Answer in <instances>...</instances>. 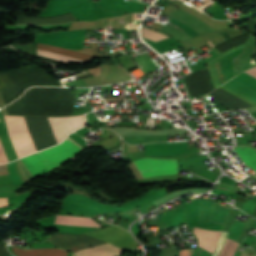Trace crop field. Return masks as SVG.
I'll list each match as a JSON object with an SVG mask.
<instances>
[{
	"label": "crop field",
	"mask_w": 256,
	"mask_h": 256,
	"mask_svg": "<svg viewBox=\"0 0 256 256\" xmlns=\"http://www.w3.org/2000/svg\"><path fill=\"white\" fill-rule=\"evenodd\" d=\"M8 162L0 142V163Z\"/></svg>",
	"instance_id": "obj_17"
},
{
	"label": "crop field",
	"mask_w": 256,
	"mask_h": 256,
	"mask_svg": "<svg viewBox=\"0 0 256 256\" xmlns=\"http://www.w3.org/2000/svg\"><path fill=\"white\" fill-rule=\"evenodd\" d=\"M77 20L76 17L70 12L67 14L48 17V18H26L19 16L18 24H30V25H49V24H60L69 21Z\"/></svg>",
	"instance_id": "obj_8"
},
{
	"label": "crop field",
	"mask_w": 256,
	"mask_h": 256,
	"mask_svg": "<svg viewBox=\"0 0 256 256\" xmlns=\"http://www.w3.org/2000/svg\"><path fill=\"white\" fill-rule=\"evenodd\" d=\"M13 251L19 256H67L68 253L59 249H37L25 251L14 247Z\"/></svg>",
	"instance_id": "obj_12"
},
{
	"label": "crop field",
	"mask_w": 256,
	"mask_h": 256,
	"mask_svg": "<svg viewBox=\"0 0 256 256\" xmlns=\"http://www.w3.org/2000/svg\"><path fill=\"white\" fill-rule=\"evenodd\" d=\"M51 243L56 246L71 252H76L83 248L93 247L97 245L105 244L106 242L100 241L96 238L81 235H70V234H56L49 237Z\"/></svg>",
	"instance_id": "obj_6"
},
{
	"label": "crop field",
	"mask_w": 256,
	"mask_h": 256,
	"mask_svg": "<svg viewBox=\"0 0 256 256\" xmlns=\"http://www.w3.org/2000/svg\"><path fill=\"white\" fill-rule=\"evenodd\" d=\"M9 255H11V254L5 248V244L0 243V256H9Z\"/></svg>",
	"instance_id": "obj_16"
},
{
	"label": "crop field",
	"mask_w": 256,
	"mask_h": 256,
	"mask_svg": "<svg viewBox=\"0 0 256 256\" xmlns=\"http://www.w3.org/2000/svg\"><path fill=\"white\" fill-rule=\"evenodd\" d=\"M214 52H216L217 54H219V52H217L216 50H214Z\"/></svg>",
	"instance_id": "obj_20"
},
{
	"label": "crop field",
	"mask_w": 256,
	"mask_h": 256,
	"mask_svg": "<svg viewBox=\"0 0 256 256\" xmlns=\"http://www.w3.org/2000/svg\"><path fill=\"white\" fill-rule=\"evenodd\" d=\"M227 233H228V232H225V231H222V232H221L218 245H217V247H216L214 253L212 254V256H217V255H218V253H219V251H220V249H221V247H222V245H223V243H224V240H225V238H226Z\"/></svg>",
	"instance_id": "obj_15"
},
{
	"label": "crop field",
	"mask_w": 256,
	"mask_h": 256,
	"mask_svg": "<svg viewBox=\"0 0 256 256\" xmlns=\"http://www.w3.org/2000/svg\"><path fill=\"white\" fill-rule=\"evenodd\" d=\"M122 249L111 245H102L94 248L84 249L76 252L77 256H118Z\"/></svg>",
	"instance_id": "obj_10"
},
{
	"label": "crop field",
	"mask_w": 256,
	"mask_h": 256,
	"mask_svg": "<svg viewBox=\"0 0 256 256\" xmlns=\"http://www.w3.org/2000/svg\"><path fill=\"white\" fill-rule=\"evenodd\" d=\"M221 231H212L195 227L194 233L199 240L200 247L213 253Z\"/></svg>",
	"instance_id": "obj_9"
},
{
	"label": "crop field",
	"mask_w": 256,
	"mask_h": 256,
	"mask_svg": "<svg viewBox=\"0 0 256 256\" xmlns=\"http://www.w3.org/2000/svg\"><path fill=\"white\" fill-rule=\"evenodd\" d=\"M46 74L35 66L0 73V90L3 94L4 106L17 99L33 85L59 86Z\"/></svg>",
	"instance_id": "obj_3"
},
{
	"label": "crop field",
	"mask_w": 256,
	"mask_h": 256,
	"mask_svg": "<svg viewBox=\"0 0 256 256\" xmlns=\"http://www.w3.org/2000/svg\"><path fill=\"white\" fill-rule=\"evenodd\" d=\"M245 72H247V73L256 77V67H252V68L246 70Z\"/></svg>",
	"instance_id": "obj_18"
},
{
	"label": "crop field",
	"mask_w": 256,
	"mask_h": 256,
	"mask_svg": "<svg viewBox=\"0 0 256 256\" xmlns=\"http://www.w3.org/2000/svg\"><path fill=\"white\" fill-rule=\"evenodd\" d=\"M36 50L51 53V54H55V55H60V56H64V57H69V58H73V59H77V60H82V61H86V62H90L94 57L92 55L83 54V53H79V52H75V51H71V50H66V49H62V48H58V47H54V46H49V45H42V44H38V43H37V46H36ZM38 51H36L37 55L44 56V57L54 59V60H57V61H62V62H67V63H74V64L86 63V62L77 61V60L64 58V57H60V56H55V55L42 53V52H38Z\"/></svg>",
	"instance_id": "obj_7"
},
{
	"label": "crop field",
	"mask_w": 256,
	"mask_h": 256,
	"mask_svg": "<svg viewBox=\"0 0 256 256\" xmlns=\"http://www.w3.org/2000/svg\"><path fill=\"white\" fill-rule=\"evenodd\" d=\"M245 166L256 171V149L249 146H235L233 147ZM254 171V172H255Z\"/></svg>",
	"instance_id": "obj_11"
},
{
	"label": "crop field",
	"mask_w": 256,
	"mask_h": 256,
	"mask_svg": "<svg viewBox=\"0 0 256 256\" xmlns=\"http://www.w3.org/2000/svg\"><path fill=\"white\" fill-rule=\"evenodd\" d=\"M84 115L85 114L71 117H48L58 143L65 139L70 132L86 124ZM5 117L9 135L19 158L33 153L35 150L38 151L57 144L47 117H25L35 150L26 126L25 118L7 115H5Z\"/></svg>",
	"instance_id": "obj_1"
},
{
	"label": "crop field",
	"mask_w": 256,
	"mask_h": 256,
	"mask_svg": "<svg viewBox=\"0 0 256 256\" xmlns=\"http://www.w3.org/2000/svg\"><path fill=\"white\" fill-rule=\"evenodd\" d=\"M146 29H142V35H143L144 38L151 39V40H153L155 42L167 38L166 36L161 35L162 33L158 34V33L154 32V31H150L151 29L150 30H146Z\"/></svg>",
	"instance_id": "obj_14"
},
{
	"label": "crop field",
	"mask_w": 256,
	"mask_h": 256,
	"mask_svg": "<svg viewBox=\"0 0 256 256\" xmlns=\"http://www.w3.org/2000/svg\"><path fill=\"white\" fill-rule=\"evenodd\" d=\"M5 109L7 114L16 115H71L74 110V91L63 88H31L21 99Z\"/></svg>",
	"instance_id": "obj_2"
},
{
	"label": "crop field",
	"mask_w": 256,
	"mask_h": 256,
	"mask_svg": "<svg viewBox=\"0 0 256 256\" xmlns=\"http://www.w3.org/2000/svg\"><path fill=\"white\" fill-rule=\"evenodd\" d=\"M83 150L79 145L67 137L58 146L39 152V155L49 170L69 160L74 154ZM38 153L19 159L32 179L46 173L48 168Z\"/></svg>",
	"instance_id": "obj_4"
},
{
	"label": "crop field",
	"mask_w": 256,
	"mask_h": 256,
	"mask_svg": "<svg viewBox=\"0 0 256 256\" xmlns=\"http://www.w3.org/2000/svg\"><path fill=\"white\" fill-rule=\"evenodd\" d=\"M0 206H8L7 198H0Z\"/></svg>",
	"instance_id": "obj_19"
},
{
	"label": "crop field",
	"mask_w": 256,
	"mask_h": 256,
	"mask_svg": "<svg viewBox=\"0 0 256 256\" xmlns=\"http://www.w3.org/2000/svg\"><path fill=\"white\" fill-rule=\"evenodd\" d=\"M239 243L227 239L224 245L223 250L221 251V253L219 254V256H233V253L235 251V249L237 248Z\"/></svg>",
	"instance_id": "obj_13"
},
{
	"label": "crop field",
	"mask_w": 256,
	"mask_h": 256,
	"mask_svg": "<svg viewBox=\"0 0 256 256\" xmlns=\"http://www.w3.org/2000/svg\"><path fill=\"white\" fill-rule=\"evenodd\" d=\"M134 164L144 178L177 174L176 160L143 158L134 161Z\"/></svg>",
	"instance_id": "obj_5"
}]
</instances>
